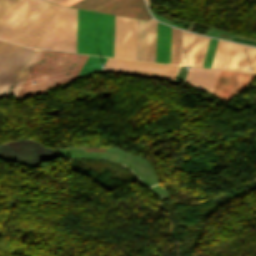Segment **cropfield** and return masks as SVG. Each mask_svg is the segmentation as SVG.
Here are the masks:
<instances>
[{"label": "crop field", "instance_id": "8a807250", "mask_svg": "<svg viewBox=\"0 0 256 256\" xmlns=\"http://www.w3.org/2000/svg\"><path fill=\"white\" fill-rule=\"evenodd\" d=\"M58 5L19 0L0 21V39L36 48Z\"/></svg>", "mask_w": 256, "mask_h": 256}, {"label": "crop field", "instance_id": "ac0d7876", "mask_svg": "<svg viewBox=\"0 0 256 256\" xmlns=\"http://www.w3.org/2000/svg\"><path fill=\"white\" fill-rule=\"evenodd\" d=\"M87 58L86 55L43 50L16 96L22 98L31 93L45 92L46 87L72 80Z\"/></svg>", "mask_w": 256, "mask_h": 256}, {"label": "crop field", "instance_id": "34b2d1b8", "mask_svg": "<svg viewBox=\"0 0 256 256\" xmlns=\"http://www.w3.org/2000/svg\"><path fill=\"white\" fill-rule=\"evenodd\" d=\"M114 16L78 9L76 52L113 57Z\"/></svg>", "mask_w": 256, "mask_h": 256}, {"label": "crop field", "instance_id": "412701ff", "mask_svg": "<svg viewBox=\"0 0 256 256\" xmlns=\"http://www.w3.org/2000/svg\"><path fill=\"white\" fill-rule=\"evenodd\" d=\"M77 9L59 6L37 48L75 52Z\"/></svg>", "mask_w": 256, "mask_h": 256}, {"label": "crop field", "instance_id": "f4fd0767", "mask_svg": "<svg viewBox=\"0 0 256 256\" xmlns=\"http://www.w3.org/2000/svg\"><path fill=\"white\" fill-rule=\"evenodd\" d=\"M179 66L108 58L103 70L154 78L174 79Z\"/></svg>", "mask_w": 256, "mask_h": 256}, {"label": "crop field", "instance_id": "dd49c442", "mask_svg": "<svg viewBox=\"0 0 256 256\" xmlns=\"http://www.w3.org/2000/svg\"><path fill=\"white\" fill-rule=\"evenodd\" d=\"M109 0H81L72 7L91 10ZM93 10L148 20L150 15L143 0H111Z\"/></svg>", "mask_w": 256, "mask_h": 256}, {"label": "crop field", "instance_id": "e52e79f7", "mask_svg": "<svg viewBox=\"0 0 256 256\" xmlns=\"http://www.w3.org/2000/svg\"><path fill=\"white\" fill-rule=\"evenodd\" d=\"M136 19L115 16L114 57L134 59Z\"/></svg>", "mask_w": 256, "mask_h": 256}, {"label": "crop field", "instance_id": "d8731c3e", "mask_svg": "<svg viewBox=\"0 0 256 256\" xmlns=\"http://www.w3.org/2000/svg\"><path fill=\"white\" fill-rule=\"evenodd\" d=\"M252 76L221 70L212 94L227 101L237 91H241Z\"/></svg>", "mask_w": 256, "mask_h": 256}, {"label": "crop field", "instance_id": "5a996713", "mask_svg": "<svg viewBox=\"0 0 256 256\" xmlns=\"http://www.w3.org/2000/svg\"><path fill=\"white\" fill-rule=\"evenodd\" d=\"M209 38L183 32L182 65H203Z\"/></svg>", "mask_w": 256, "mask_h": 256}, {"label": "crop field", "instance_id": "3316defc", "mask_svg": "<svg viewBox=\"0 0 256 256\" xmlns=\"http://www.w3.org/2000/svg\"><path fill=\"white\" fill-rule=\"evenodd\" d=\"M33 49L20 46L8 68L0 79V96L7 94Z\"/></svg>", "mask_w": 256, "mask_h": 256}, {"label": "crop field", "instance_id": "28ad6ade", "mask_svg": "<svg viewBox=\"0 0 256 256\" xmlns=\"http://www.w3.org/2000/svg\"><path fill=\"white\" fill-rule=\"evenodd\" d=\"M219 71L220 70L215 69L191 67L184 81L211 93Z\"/></svg>", "mask_w": 256, "mask_h": 256}, {"label": "crop field", "instance_id": "d1516ede", "mask_svg": "<svg viewBox=\"0 0 256 256\" xmlns=\"http://www.w3.org/2000/svg\"><path fill=\"white\" fill-rule=\"evenodd\" d=\"M171 28L157 22L155 62L170 63Z\"/></svg>", "mask_w": 256, "mask_h": 256}, {"label": "crop field", "instance_id": "22f410ed", "mask_svg": "<svg viewBox=\"0 0 256 256\" xmlns=\"http://www.w3.org/2000/svg\"><path fill=\"white\" fill-rule=\"evenodd\" d=\"M237 46L219 40L211 68L231 70Z\"/></svg>", "mask_w": 256, "mask_h": 256}, {"label": "crop field", "instance_id": "cbeb9de0", "mask_svg": "<svg viewBox=\"0 0 256 256\" xmlns=\"http://www.w3.org/2000/svg\"><path fill=\"white\" fill-rule=\"evenodd\" d=\"M249 68L253 69L249 70ZM232 70L256 75V48L239 45Z\"/></svg>", "mask_w": 256, "mask_h": 256}, {"label": "crop field", "instance_id": "5142ce71", "mask_svg": "<svg viewBox=\"0 0 256 256\" xmlns=\"http://www.w3.org/2000/svg\"><path fill=\"white\" fill-rule=\"evenodd\" d=\"M148 21L137 19L135 59L146 61Z\"/></svg>", "mask_w": 256, "mask_h": 256}, {"label": "crop field", "instance_id": "d9b57169", "mask_svg": "<svg viewBox=\"0 0 256 256\" xmlns=\"http://www.w3.org/2000/svg\"><path fill=\"white\" fill-rule=\"evenodd\" d=\"M42 50L35 49L32 56L30 57L29 61L27 62L25 68L23 69L22 73L20 74L18 80L16 81L15 85L13 86L10 93L16 95L18 90L20 89L22 83L24 82L25 78L27 77L28 73L30 72L31 68L33 67L34 63L38 59L39 55L41 54Z\"/></svg>", "mask_w": 256, "mask_h": 256}, {"label": "crop field", "instance_id": "733c2abd", "mask_svg": "<svg viewBox=\"0 0 256 256\" xmlns=\"http://www.w3.org/2000/svg\"><path fill=\"white\" fill-rule=\"evenodd\" d=\"M106 60L107 58H104V57L89 56L85 65L83 66L80 73L78 74L77 78L85 76L91 72L100 70Z\"/></svg>", "mask_w": 256, "mask_h": 256}, {"label": "crop field", "instance_id": "4a817a6b", "mask_svg": "<svg viewBox=\"0 0 256 256\" xmlns=\"http://www.w3.org/2000/svg\"><path fill=\"white\" fill-rule=\"evenodd\" d=\"M181 30L172 27L171 63L180 64Z\"/></svg>", "mask_w": 256, "mask_h": 256}, {"label": "crop field", "instance_id": "bc2a9ffb", "mask_svg": "<svg viewBox=\"0 0 256 256\" xmlns=\"http://www.w3.org/2000/svg\"><path fill=\"white\" fill-rule=\"evenodd\" d=\"M156 21L149 20L147 61L154 62Z\"/></svg>", "mask_w": 256, "mask_h": 256}, {"label": "crop field", "instance_id": "214f88e0", "mask_svg": "<svg viewBox=\"0 0 256 256\" xmlns=\"http://www.w3.org/2000/svg\"><path fill=\"white\" fill-rule=\"evenodd\" d=\"M217 41L218 40H216V39L210 38L203 67H207V68L211 67V63H212V59H213L214 52L216 49Z\"/></svg>", "mask_w": 256, "mask_h": 256}, {"label": "crop field", "instance_id": "92a150f3", "mask_svg": "<svg viewBox=\"0 0 256 256\" xmlns=\"http://www.w3.org/2000/svg\"><path fill=\"white\" fill-rule=\"evenodd\" d=\"M18 48H19V45L13 44L12 48L10 49V51L8 52L7 56L5 57L4 61L0 66V77L2 76L3 72L7 68L8 64L10 63L11 59L13 58Z\"/></svg>", "mask_w": 256, "mask_h": 256}, {"label": "crop field", "instance_id": "dafd665d", "mask_svg": "<svg viewBox=\"0 0 256 256\" xmlns=\"http://www.w3.org/2000/svg\"><path fill=\"white\" fill-rule=\"evenodd\" d=\"M18 0H0V19Z\"/></svg>", "mask_w": 256, "mask_h": 256}, {"label": "crop field", "instance_id": "00972430", "mask_svg": "<svg viewBox=\"0 0 256 256\" xmlns=\"http://www.w3.org/2000/svg\"><path fill=\"white\" fill-rule=\"evenodd\" d=\"M12 44L0 40V64L6 56L7 52L11 48Z\"/></svg>", "mask_w": 256, "mask_h": 256}, {"label": "crop field", "instance_id": "a9b5d70f", "mask_svg": "<svg viewBox=\"0 0 256 256\" xmlns=\"http://www.w3.org/2000/svg\"><path fill=\"white\" fill-rule=\"evenodd\" d=\"M233 41H238V42H243V43H248V44H252V45H256V42L253 41H249V40H244V39H239V38H232Z\"/></svg>", "mask_w": 256, "mask_h": 256}, {"label": "crop field", "instance_id": "4177f3b9", "mask_svg": "<svg viewBox=\"0 0 256 256\" xmlns=\"http://www.w3.org/2000/svg\"><path fill=\"white\" fill-rule=\"evenodd\" d=\"M78 1H80V0H66V1H64V2H62L60 4L70 6V5H72V4H74V3L78 2Z\"/></svg>", "mask_w": 256, "mask_h": 256}, {"label": "crop field", "instance_id": "730fd06b", "mask_svg": "<svg viewBox=\"0 0 256 256\" xmlns=\"http://www.w3.org/2000/svg\"><path fill=\"white\" fill-rule=\"evenodd\" d=\"M46 1H49V2H51V3L58 4V3H60V2H62V1H64V0H46Z\"/></svg>", "mask_w": 256, "mask_h": 256}, {"label": "crop field", "instance_id": "eef30255", "mask_svg": "<svg viewBox=\"0 0 256 256\" xmlns=\"http://www.w3.org/2000/svg\"><path fill=\"white\" fill-rule=\"evenodd\" d=\"M146 1H147L148 5H149V7H150V1H151V0H146Z\"/></svg>", "mask_w": 256, "mask_h": 256}]
</instances>
